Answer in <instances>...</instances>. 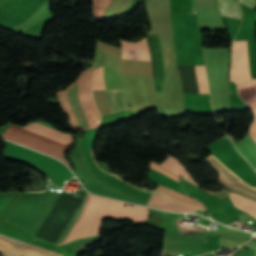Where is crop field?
<instances>
[{
    "label": "crop field",
    "mask_w": 256,
    "mask_h": 256,
    "mask_svg": "<svg viewBox=\"0 0 256 256\" xmlns=\"http://www.w3.org/2000/svg\"><path fill=\"white\" fill-rule=\"evenodd\" d=\"M5 154L46 169L60 184L64 180H68L74 176L57 160L10 142L8 143Z\"/></svg>",
    "instance_id": "crop-field-4"
},
{
    "label": "crop field",
    "mask_w": 256,
    "mask_h": 256,
    "mask_svg": "<svg viewBox=\"0 0 256 256\" xmlns=\"http://www.w3.org/2000/svg\"><path fill=\"white\" fill-rule=\"evenodd\" d=\"M156 190L161 191L162 193H164L165 195H167L168 197H170L171 199H173L175 201H179V202H182V203H185V204L197 207V208L204 209V207L201 203H199L195 200L189 199L187 197L180 196L181 194L178 195V194H176L170 190H167L161 186H159Z\"/></svg>",
    "instance_id": "crop-field-15"
},
{
    "label": "crop field",
    "mask_w": 256,
    "mask_h": 256,
    "mask_svg": "<svg viewBox=\"0 0 256 256\" xmlns=\"http://www.w3.org/2000/svg\"><path fill=\"white\" fill-rule=\"evenodd\" d=\"M103 66L94 70L93 80L94 87L93 89H114V88H123L121 85L120 78L118 73L104 67L103 77L105 82H103L102 77ZM106 98L108 106L111 112H117L124 109H128V106L125 101L124 91L123 89H115V90H106Z\"/></svg>",
    "instance_id": "crop-field-5"
},
{
    "label": "crop field",
    "mask_w": 256,
    "mask_h": 256,
    "mask_svg": "<svg viewBox=\"0 0 256 256\" xmlns=\"http://www.w3.org/2000/svg\"><path fill=\"white\" fill-rule=\"evenodd\" d=\"M199 93H209L207 90L206 74L204 66H195Z\"/></svg>",
    "instance_id": "crop-field-18"
},
{
    "label": "crop field",
    "mask_w": 256,
    "mask_h": 256,
    "mask_svg": "<svg viewBox=\"0 0 256 256\" xmlns=\"http://www.w3.org/2000/svg\"><path fill=\"white\" fill-rule=\"evenodd\" d=\"M8 140L55 156L69 166L66 159L61 156L73 140V136L68 133L32 123L24 128L15 126Z\"/></svg>",
    "instance_id": "crop-field-3"
},
{
    "label": "crop field",
    "mask_w": 256,
    "mask_h": 256,
    "mask_svg": "<svg viewBox=\"0 0 256 256\" xmlns=\"http://www.w3.org/2000/svg\"><path fill=\"white\" fill-rule=\"evenodd\" d=\"M221 14L242 19V9L236 0H218Z\"/></svg>",
    "instance_id": "crop-field-11"
},
{
    "label": "crop field",
    "mask_w": 256,
    "mask_h": 256,
    "mask_svg": "<svg viewBox=\"0 0 256 256\" xmlns=\"http://www.w3.org/2000/svg\"><path fill=\"white\" fill-rule=\"evenodd\" d=\"M172 15L195 13V0H171Z\"/></svg>",
    "instance_id": "crop-field-12"
},
{
    "label": "crop field",
    "mask_w": 256,
    "mask_h": 256,
    "mask_svg": "<svg viewBox=\"0 0 256 256\" xmlns=\"http://www.w3.org/2000/svg\"><path fill=\"white\" fill-rule=\"evenodd\" d=\"M123 205V202L103 199L88 194L80 217L65 243L79 238L98 235L100 221L105 217L124 218L143 223L149 216L148 208L135 205L133 209H130L123 207Z\"/></svg>",
    "instance_id": "crop-field-1"
},
{
    "label": "crop field",
    "mask_w": 256,
    "mask_h": 256,
    "mask_svg": "<svg viewBox=\"0 0 256 256\" xmlns=\"http://www.w3.org/2000/svg\"><path fill=\"white\" fill-rule=\"evenodd\" d=\"M219 181H220V183H221L224 187H226V188L230 187V188H232V189H234V190H236V191H238V192H241V193H243V194H245V195H248V196L253 197V198L256 199V196H255V195H253V194H251V193H248V192H246V191H244V190H242V189H240V188H237V187L232 186L233 184H235V185H237V186H239V187H241V188H243V189H246V190H248V191H250V192L256 194V192H255L256 189H254V188H252V187H250V186L244 184L241 180H239V181H237V182H239V183H241V184H243V185H245V186H247V187H249V188H251V189H253V190H255V191H253V190H251V189H249V188H246V187H244V186H242V185H240V184H238V183H236V182H233V184L230 185L231 183L229 184V183H228L225 179H223V178H222L223 183L226 184L228 187L225 186V185L222 183L221 178L219 179ZM230 188H228V189H230ZM232 189H230V190H232ZM234 190H232V191H234ZM236 191H234V192H236ZM238 192H236V193H238ZM238 194H240V193H238ZM243 194H240V195L245 196V195H243ZM248 196H245V197L250 198V197H248ZM250 199H252V198H250ZM255 199H252V200L256 201Z\"/></svg>",
    "instance_id": "crop-field-17"
},
{
    "label": "crop field",
    "mask_w": 256,
    "mask_h": 256,
    "mask_svg": "<svg viewBox=\"0 0 256 256\" xmlns=\"http://www.w3.org/2000/svg\"><path fill=\"white\" fill-rule=\"evenodd\" d=\"M146 4H147L148 15L151 21L152 33H171L169 0H148ZM158 38H159V43H160V48L162 53L161 41H172V34H158ZM162 59H163V55H162Z\"/></svg>",
    "instance_id": "crop-field-6"
},
{
    "label": "crop field",
    "mask_w": 256,
    "mask_h": 256,
    "mask_svg": "<svg viewBox=\"0 0 256 256\" xmlns=\"http://www.w3.org/2000/svg\"><path fill=\"white\" fill-rule=\"evenodd\" d=\"M0 240L29 249L31 251L46 255V256H62L60 254H57L55 252L4 236L0 234ZM0 241V255L1 256H43L31 251H28L26 249L5 243Z\"/></svg>",
    "instance_id": "crop-field-8"
},
{
    "label": "crop field",
    "mask_w": 256,
    "mask_h": 256,
    "mask_svg": "<svg viewBox=\"0 0 256 256\" xmlns=\"http://www.w3.org/2000/svg\"><path fill=\"white\" fill-rule=\"evenodd\" d=\"M207 162L211 164L217 171H219L230 182L238 180L230 171H228L221 163H219L214 157H210Z\"/></svg>",
    "instance_id": "crop-field-19"
},
{
    "label": "crop field",
    "mask_w": 256,
    "mask_h": 256,
    "mask_svg": "<svg viewBox=\"0 0 256 256\" xmlns=\"http://www.w3.org/2000/svg\"><path fill=\"white\" fill-rule=\"evenodd\" d=\"M233 205L256 218V203L245 198L230 194Z\"/></svg>",
    "instance_id": "crop-field-13"
},
{
    "label": "crop field",
    "mask_w": 256,
    "mask_h": 256,
    "mask_svg": "<svg viewBox=\"0 0 256 256\" xmlns=\"http://www.w3.org/2000/svg\"><path fill=\"white\" fill-rule=\"evenodd\" d=\"M169 158V157H168ZM167 158V159H168ZM166 162V161H165ZM164 162V163H165ZM163 164V163H162ZM161 165V164H160ZM162 166H164L165 168L171 170L173 173L181 176L182 178L186 179L187 181H189L190 183H193V180L189 177L188 173L183 169V167L177 162L175 161L173 158H169L168 161L163 164ZM170 171V172H171Z\"/></svg>",
    "instance_id": "crop-field-14"
},
{
    "label": "crop field",
    "mask_w": 256,
    "mask_h": 256,
    "mask_svg": "<svg viewBox=\"0 0 256 256\" xmlns=\"http://www.w3.org/2000/svg\"><path fill=\"white\" fill-rule=\"evenodd\" d=\"M238 151L256 169V143L247 135L241 141L235 143Z\"/></svg>",
    "instance_id": "crop-field-10"
},
{
    "label": "crop field",
    "mask_w": 256,
    "mask_h": 256,
    "mask_svg": "<svg viewBox=\"0 0 256 256\" xmlns=\"http://www.w3.org/2000/svg\"><path fill=\"white\" fill-rule=\"evenodd\" d=\"M148 205H151L153 207H156L158 209H165L169 211H174V212H189V213H194L196 212L197 208L189 207L186 205L178 204L175 202H172L165 198L163 195L158 194V193H152L148 203Z\"/></svg>",
    "instance_id": "crop-field-9"
},
{
    "label": "crop field",
    "mask_w": 256,
    "mask_h": 256,
    "mask_svg": "<svg viewBox=\"0 0 256 256\" xmlns=\"http://www.w3.org/2000/svg\"><path fill=\"white\" fill-rule=\"evenodd\" d=\"M216 4V0H197V5Z\"/></svg>",
    "instance_id": "crop-field-22"
},
{
    "label": "crop field",
    "mask_w": 256,
    "mask_h": 256,
    "mask_svg": "<svg viewBox=\"0 0 256 256\" xmlns=\"http://www.w3.org/2000/svg\"><path fill=\"white\" fill-rule=\"evenodd\" d=\"M151 168H153V169H155V170H157V171H159V172H161V173H163V174H165V175H167V176H169V177L175 179L176 181L179 180V177H177V176L171 174L170 172L164 170L163 168L159 167L158 165H156V164H154V163H152V162H151Z\"/></svg>",
    "instance_id": "crop-field-21"
},
{
    "label": "crop field",
    "mask_w": 256,
    "mask_h": 256,
    "mask_svg": "<svg viewBox=\"0 0 256 256\" xmlns=\"http://www.w3.org/2000/svg\"><path fill=\"white\" fill-rule=\"evenodd\" d=\"M92 71L93 70L82 72L81 76L77 80L79 98L84 108L86 118L90 128L99 126V121H100L99 112L97 111L94 105L92 95H91ZM75 83L76 81L72 85H74ZM72 85H70L66 90H68ZM77 87L75 84L73 87H71L70 90L66 91L65 93L67 95V98L69 100V103L71 105V108L73 110V113L75 115V118L79 126L88 127L84 111L82 109L81 103L78 98ZM64 91L57 93L60 99L61 106L69 118L70 125L75 128H79L71 112V109L68 104ZM81 129H87V128H81Z\"/></svg>",
    "instance_id": "crop-field-2"
},
{
    "label": "crop field",
    "mask_w": 256,
    "mask_h": 256,
    "mask_svg": "<svg viewBox=\"0 0 256 256\" xmlns=\"http://www.w3.org/2000/svg\"><path fill=\"white\" fill-rule=\"evenodd\" d=\"M94 1V15L96 20H100L103 12L112 0H91Z\"/></svg>",
    "instance_id": "crop-field-20"
},
{
    "label": "crop field",
    "mask_w": 256,
    "mask_h": 256,
    "mask_svg": "<svg viewBox=\"0 0 256 256\" xmlns=\"http://www.w3.org/2000/svg\"><path fill=\"white\" fill-rule=\"evenodd\" d=\"M231 79L236 83L248 81L256 107V79L251 80L249 76L246 41H234L232 47Z\"/></svg>",
    "instance_id": "crop-field-7"
},
{
    "label": "crop field",
    "mask_w": 256,
    "mask_h": 256,
    "mask_svg": "<svg viewBox=\"0 0 256 256\" xmlns=\"http://www.w3.org/2000/svg\"><path fill=\"white\" fill-rule=\"evenodd\" d=\"M180 243V240L165 235L163 250L170 256H178Z\"/></svg>",
    "instance_id": "crop-field-16"
},
{
    "label": "crop field",
    "mask_w": 256,
    "mask_h": 256,
    "mask_svg": "<svg viewBox=\"0 0 256 256\" xmlns=\"http://www.w3.org/2000/svg\"><path fill=\"white\" fill-rule=\"evenodd\" d=\"M244 4L249 5L250 7L254 8L256 4V0H238Z\"/></svg>",
    "instance_id": "crop-field-23"
}]
</instances>
